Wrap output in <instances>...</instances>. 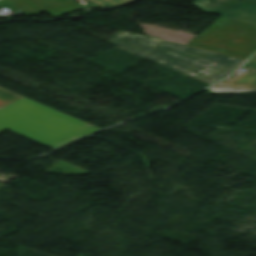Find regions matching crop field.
Segmentation results:
<instances>
[{
  "label": "crop field",
  "instance_id": "1",
  "mask_svg": "<svg viewBox=\"0 0 256 256\" xmlns=\"http://www.w3.org/2000/svg\"><path fill=\"white\" fill-rule=\"evenodd\" d=\"M207 84L228 76L245 60L119 31L109 42ZM234 72V71H233Z\"/></svg>",
  "mask_w": 256,
  "mask_h": 256
},
{
  "label": "crop field",
  "instance_id": "2",
  "mask_svg": "<svg viewBox=\"0 0 256 256\" xmlns=\"http://www.w3.org/2000/svg\"><path fill=\"white\" fill-rule=\"evenodd\" d=\"M6 129L53 149L99 130L25 97L0 111V133Z\"/></svg>",
  "mask_w": 256,
  "mask_h": 256
},
{
  "label": "crop field",
  "instance_id": "3",
  "mask_svg": "<svg viewBox=\"0 0 256 256\" xmlns=\"http://www.w3.org/2000/svg\"><path fill=\"white\" fill-rule=\"evenodd\" d=\"M203 12L256 24V0H195Z\"/></svg>",
  "mask_w": 256,
  "mask_h": 256
},
{
  "label": "crop field",
  "instance_id": "4",
  "mask_svg": "<svg viewBox=\"0 0 256 256\" xmlns=\"http://www.w3.org/2000/svg\"><path fill=\"white\" fill-rule=\"evenodd\" d=\"M25 15L46 12L49 16L64 15L84 9L73 0H9Z\"/></svg>",
  "mask_w": 256,
  "mask_h": 256
},
{
  "label": "crop field",
  "instance_id": "5",
  "mask_svg": "<svg viewBox=\"0 0 256 256\" xmlns=\"http://www.w3.org/2000/svg\"><path fill=\"white\" fill-rule=\"evenodd\" d=\"M209 92H256V74L236 72L223 82L209 88Z\"/></svg>",
  "mask_w": 256,
  "mask_h": 256
},
{
  "label": "crop field",
  "instance_id": "6",
  "mask_svg": "<svg viewBox=\"0 0 256 256\" xmlns=\"http://www.w3.org/2000/svg\"><path fill=\"white\" fill-rule=\"evenodd\" d=\"M22 96L0 88V110L18 100Z\"/></svg>",
  "mask_w": 256,
  "mask_h": 256
},
{
  "label": "crop field",
  "instance_id": "7",
  "mask_svg": "<svg viewBox=\"0 0 256 256\" xmlns=\"http://www.w3.org/2000/svg\"><path fill=\"white\" fill-rule=\"evenodd\" d=\"M93 1L99 3L100 5H102L104 7H107V6H111V5H115V4L128 2L130 0H93Z\"/></svg>",
  "mask_w": 256,
  "mask_h": 256
},
{
  "label": "crop field",
  "instance_id": "8",
  "mask_svg": "<svg viewBox=\"0 0 256 256\" xmlns=\"http://www.w3.org/2000/svg\"><path fill=\"white\" fill-rule=\"evenodd\" d=\"M242 69H246L248 71L256 72V55L253 56L246 64H244Z\"/></svg>",
  "mask_w": 256,
  "mask_h": 256
}]
</instances>
